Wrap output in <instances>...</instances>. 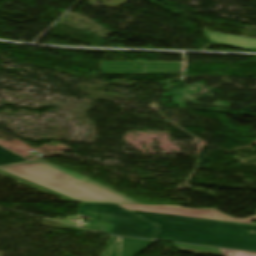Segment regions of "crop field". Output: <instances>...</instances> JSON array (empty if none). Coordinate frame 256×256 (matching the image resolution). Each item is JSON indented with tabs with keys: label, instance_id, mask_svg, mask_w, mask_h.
<instances>
[{
	"label": "crop field",
	"instance_id": "crop-field-7",
	"mask_svg": "<svg viewBox=\"0 0 256 256\" xmlns=\"http://www.w3.org/2000/svg\"><path fill=\"white\" fill-rule=\"evenodd\" d=\"M171 244L179 251L221 256L219 250L214 248H206V247H198V246H190V245H182V244H174V243H171Z\"/></svg>",
	"mask_w": 256,
	"mask_h": 256
},
{
	"label": "crop field",
	"instance_id": "crop-field-9",
	"mask_svg": "<svg viewBox=\"0 0 256 256\" xmlns=\"http://www.w3.org/2000/svg\"><path fill=\"white\" fill-rule=\"evenodd\" d=\"M223 256H256V253L220 249Z\"/></svg>",
	"mask_w": 256,
	"mask_h": 256
},
{
	"label": "crop field",
	"instance_id": "crop-field-5",
	"mask_svg": "<svg viewBox=\"0 0 256 256\" xmlns=\"http://www.w3.org/2000/svg\"><path fill=\"white\" fill-rule=\"evenodd\" d=\"M154 241L110 236L102 256H135Z\"/></svg>",
	"mask_w": 256,
	"mask_h": 256
},
{
	"label": "crop field",
	"instance_id": "crop-field-4",
	"mask_svg": "<svg viewBox=\"0 0 256 256\" xmlns=\"http://www.w3.org/2000/svg\"><path fill=\"white\" fill-rule=\"evenodd\" d=\"M181 69L182 63L101 61V72L106 73H167Z\"/></svg>",
	"mask_w": 256,
	"mask_h": 256
},
{
	"label": "crop field",
	"instance_id": "crop-field-6",
	"mask_svg": "<svg viewBox=\"0 0 256 256\" xmlns=\"http://www.w3.org/2000/svg\"><path fill=\"white\" fill-rule=\"evenodd\" d=\"M202 32L208 40L209 44L238 47L256 51L255 39L237 37L203 30Z\"/></svg>",
	"mask_w": 256,
	"mask_h": 256
},
{
	"label": "crop field",
	"instance_id": "crop-field-1",
	"mask_svg": "<svg viewBox=\"0 0 256 256\" xmlns=\"http://www.w3.org/2000/svg\"><path fill=\"white\" fill-rule=\"evenodd\" d=\"M158 225L153 239L256 251V216L236 220L216 209L119 204Z\"/></svg>",
	"mask_w": 256,
	"mask_h": 256
},
{
	"label": "crop field",
	"instance_id": "crop-field-8",
	"mask_svg": "<svg viewBox=\"0 0 256 256\" xmlns=\"http://www.w3.org/2000/svg\"><path fill=\"white\" fill-rule=\"evenodd\" d=\"M25 159L15 155L14 153L4 149L0 146V165L24 161Z\"/></svg>",
	"mask_w": 256,
	"mask_h": 256
},
{
	"label": "crop field",
	"instance_id": "crop-field-2",
	"mask_svg": "<svg viewBox=\"0 0 256 256\" xmlns=\"http://www.w3.org/2000/svg\"><path fill=\"white\" fill-rule=\"evenodd\" d=\"M0 170L54 190L76 201L140 204L42 159L3 165L0 166Z\"/></svg>",
	"mask_w": 256,
	"mask_h": 256
},
{
	"label": "crop field",
	"instance_id": "crop-field-3",
	"mask_svg": "<svg viewBox=\"0 0 256 256\" xmlns=\"http://www.w3.org/2000/svg\"><path fill=\"white\" fill-rule=\"evenodd\" d=\"M77 214L111 224L108 234L150 239L155 229L116 205L80 204Z\"/></svg>",
	"mask_w": 256,
	"mask_h": 256
}]
</instances>
